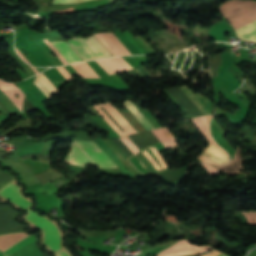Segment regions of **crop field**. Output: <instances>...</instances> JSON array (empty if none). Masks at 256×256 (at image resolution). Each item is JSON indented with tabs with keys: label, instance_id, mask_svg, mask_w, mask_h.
<instances>
[{
	"label": "crop field",
	"instance_id": "crop-field-19",
	"mask_svg": "<svg viewBox=\"0 0 256 256\" xmlns=\"http://www.w3.org/2000/svg\"><path fill=\"white\" fill-rule=\"evenodd\" d=\"M119 139L131 150L133 154L137 152V148L134 146V144L129 140L127 136L120 137Z\"/></svg>",
	"mask_w": 256,
	"mask_h": 256
},
{
	"label": "crop field",
	"instance_id": "crop-field-13",
	"mask_svg": "<svg viewBox=\"0 0 256 256\" xmlns=\"http://www.w3.org/2000/svg\"><path fill=\"white\" fill-rule=\"evenodd\" d=\"M124 104L147 130L154 129L152 124L145 119V117L141 114V112L134 106V104L130 100L124 102Z\"/></svg>",
	"mask_w": 256,
	"mask_h": 256
},
{
	"label": "crop field",
	"instance_id": "crop-field-20",
	"mask_svg": "<svg viewBox=\"0 0 256 256\" xmlns=\"http://www.w3.org/2000/svg\"><path fill=\"white\" fill-rule=\"evenodd\" d=\"M32 156H37V157H38V161L49 162L48 155H47V156H44V155H42V154L25 155V156H23V157H20V159H21V160H24V159L31 158Z\"/></svg>",
	"mask_w": 256,
	"mask_h": 256
},
{
	"label": "crop field",
	"instance_id": "crop-field-9",
	"mask_svg": "<svg viewBox=\"0 0 256 256\" xmlns=\"http://www.w3.org/2000/svg\"><path fill=\"white\" fill-rule=\"evenodd\" d=\"M210 118H211V116H208V117L192 119L190 121L195 125V127L204 135V137L208 141H210L212 144H214L218 149H220L224 154H226L228 156V154L213 141V139L209 133Z\"/></svg>",
	"mask_w": 256,
	"mask_h": 256
},
{
	"label": "crop field",
	"instance_id": "crop-field-32",
	"mask_svg": "<svg viewBox=\"0 0 256 256\" xmlns=\"http://www.w3.org/2000/svg\"><path fill=\"white\" fill-rule=\"evenodd\" d=\"M218 256H227V255L221 254V255H218Z\"/></svg>",
	"mask_w": 256,
	"mask_h": 256
},
{
	"label": "crop field",
	"instance_id": "crop-field-28",
	"mask_svg": "<svg viewBox=\"0 0 256 256\" xmlns=\"http://www.w3.org/2000/svg\"><path fill=\"white\" fill-rule=\"evenodd\" d=\"M16 50H17V53L21 56V58L25 61V62H27V63H29L28 62V60L21 54V52L16 48ZM30 64V63H29Z\"/></svg>",
	"mask_w": 256,
	"mask_h": 256
},
{
	"label": "crop field",
	"instance_id": "crop-field-8",
	"mask_svg": "<svg viewBox=\"0 0 256 256\" xmlns=\"http://www.w3.org/2000/svg\"><path fill=\"white\" fill-rule=\"evenodd\" d=\"M0 89L2 90V93L6 95L15 104V106L21 111L24 95L20 91V89L17 88L14 83H6L1 79H0ZM13 94L19 95V98L16 99L13 96Z\"/></svg>",
	"mask_w": 256,
	"mask_h": 256
},
{
	"label": "crop field",
	"instance_id": "crop-field-27",
	"mask_svg": "<svg viewBox=\"0 0 256 256\" xmlns=\"http://www.w3.org/2000/svg\"><path fill=\"white\" fill-rule=\"evenodd\" d=\"M60 252L62 253L63 256H72L71 253L69 252V250L64 249Z\"/></svg>",
	"mask_w": 256,
	"mask_h": 256
},
{
	"label": "crop field",
	"instance_id": "crop-field-6",
	"mask_svg": "<svg viewBox=\"0 0 256 256\" xmlns=\"http://www.w3.org/2000/svg\"><path fill=\"white\" fill-rule=\"evenodd\" d=\"M179 87L192 100V102L200 109V111L204 115L213 113L212 102L209 101L206 97L197 93L194 94L187 85H181Z\"/></svg>",
	"mask_w": 256,
	"mask_h": 256
},
{
	"label": "crop field",
	"instance_id": "crop-field-2",
	"mask_svg": "<svg viewBox=\"0 0 256 256\" xmlns=\"http://www.w3.org/2000/svg\"><path fill=\"white\" fill-rule=\"evenodd\" d=\"M0 193L9 197L30 212L25 217L43 229L44 241L49 249L56 251L61 248L60 234L54 223L50 222L45 217H41L38 214L30 211L29 208L32 203L22 197L20 194V188L10 183L3 190H1Z\"/></svg>",
	"mask_w": 256,
	"mask_h": 256
},
{
	"label": "crop field",
	"instance_id": "crop-field-10",
	"mask_svg": "<svg viewBox=\"0 0 256 256\" xmlns=\"http://www.w3.org/2000/svg\"><path fill=\"white\" fill-rule=\"evenodd\" d=\"M68 63L81 61L79 55L65 42H51Z\"/></svg>",
	"mask_w": 256,
	"mask_h": 256
},
{
	"label": "crop field",
	"instance_id": "crop-field-15",
	"mask_svg": "<svg viewBox=\"0 0 256 256\" xmlns=\"http://www.w3.org/2000/svg\"><path fill=\"white\" fill-rule=\"evenodd\" d=\"M36 236H37V234H32V235L26 236L21 241H19L15 245L11 246L10 248H8L3 253L5 254V256H8L9 254H11V253L21 249L22 247L26 246L27 244L35 241L36 240Z\"/></svg>",
	"mask_w": 256,
	"mask_h": 256
},
{
	"label": "crop field",
	"instance_id": "crop-field-1",
	"mask_svg": "<svg viewBox=\"0 0 256 256\" xmlns=\"http://www.w3.org/2000/svg\"><path fill=\"white\" fill-rule=\"evenodd\" d=\"M219 10L229 20L239 38L256 36V1L229 0ZM244 40L256 42V37Z\"/></svg>",
	"mask_w": 256,
	"mask_h": 256
},
{
	"label": "crop field",
	"instance_id": "crop-field-29",
	"mask_svg": "<svg viewBox=\"0 0 256 256\" xmlns=\"http://www.w3.org/2000/svg\"><path fill=\"white\" fill-rule=\"evenodd\" d=\"M54 255H55V256H62V255L60 254V252L55 253Z\"/></svg>",
	"mask_w": 256,
	"mask_h": 256
},
{
	"label": "crop field",
	"instance_id": "crop-field-22",
	"mask_svg": "<svg viewBox=\"0 0 256 256\" xmlns=\"http://www.w3.org/2000/svg\"><path fill=\"white\" fill-rule=\"evenodd\" d=\"M50 48L53 52L56 53L57 57L60 59V61L65 65L67 64V62L65 61V59L60 55V53L49 43V41L47 39L43 40Z\"/></svg>",
	"mask_w": 256,
	"mask_h": 256
},
{
	"label": "crop field",
	"instance_id": "crop-field-3",
	"mask_svg": "<svg viewBox=\"0 0 256 256\" xmlns=\"http://www.w3.org/2000/svg\"><path fill=\"white\" fill-rule=\"evenodd\" d=\"M77 142L97 167H117L94 141ZM77 142H72L65 162L80 167L93 164Z\"/></svg>",
	"mask_w": 256,
	"mask_h": 256
},
{
	"label": "crop field",
	"instance_id": "crop-field-21",
	"mask_svg": "<svg viewBox=\"0 0 256 256\" xmlns=\"http://www.w3.org/2000/svg\"><path fill=\"white\" fill-rule=\"evenodd\" d=\"M135 156H136V158L138 159L139 162L141 161L144 164L145 167L151 166V163L148 161V159L141 152H138Z\"/></svg>",
	"mask_w": 256,
	"mask_h": 256
},
{
	"label": "crop field",
	"instance_id": "crop-field-5",
	"mask_svg": "<svg viewBox=\"0 0 256 256\" xmlns=\"http://www.w3.org/2000/svg\"><path fill=\"white\" fill-rule=\"evenodd\" d=\"M95 35L113 55L131 54L112 33H99Z\"/></svg>",
	"mask_w": 256,
	"mask_h": 256
},
{
	"label": "crop field",
	"instance_id": "crop-field-14",
	"mask_svg": "<svg viewBox=\"0 0 256 256\" xmlns=\"http://www.w3.org/2000/svg\"><path fill=\"white\" fill-rule=\"evenodd\" d=\"M72 66L81 77H99L86 62L74 63Z\"/></svg>",
	"mask_w": 256,
	"mask_h": 256
},
{
	"label": "crop field",
	"instance_id": "crop-field-17",
	"mask_svg": "<svg viewBox=\"0 0 256 256\" xmlns=\"http://www.w3.org/2000/svg\"><path fill=\"white\" fill-rule=\"evenodd\" d=\"M121 113L138 132L145 131L144 127L130 114L127 109L121 111Z\"/></svg>",
	"mask_w": 256,
	"mask_h": 256
},
{
	"label": "crop field",
	"instance_id": "crop-field-7",
	"mask_svg": "<svg viewBox=\"0 0 256 256\" xmlns=\"http://www.w3.org/2000/svg\"><path fill=\"white\" fill-rule=\"evenodd\" d=\"M97 62L108 73H115L132 69L121 57H111L106 59L97 60Z\"/></svg>",
	"mask_w": 256,
	"mask_h": 256
},
{
	"label": "crop field",
	"instance_id": "crop-field-33",
	"mask_svg": "<svg viewBox=\"0 0 256 256\" xmlns=\"http://www.w3.org/2000/svg\"><path fill=\"white\" fill-rule=\"evenodd\" d=\"M0 160H1V151H0Z\"/></svg>",
	"mask_w": 256,
	"mask_h": 256
},
{
	"label": "crop field",
	"instance_id": "crop-field-23",
	"mask_svg": "<svg viewBox=\"0 0 256 256\" xmlns=\"http://www.w3.org/2000/svg\"><path fill=\"white\" fill-rule=\"evenodd\" d=\"M136 38L151 54H157V52L154 51L140 36H137Z\"/></svg>",
	"mask_w": 256,
	"mask_h": 256
},
{
	"label": "crop field",
	"instance_id": "crop-field-31",
	"mask_svg": "<svg viewBox=\"0 0 256 256\" xmlns=\"http://www.w3.org/2000/svg\"><path fill=\"white\" fill-rule=\"evenodd\" d=\"M0 256H4L2 252H0Z\"/></svg>",
	"mask_w": 256,
	"mask_h": 256
},
{
	"label": "crop field",
	"instance_id": "crop-field-30",
	"mask_svg": "<svg viewBox=\"0 0 256 256\" xmlns=\"http://www.w3.org/2000/svg\"><path fill=\"white\" fill-rule=\"evenodd\" d=\"M29 67L32 68L35 71V73H37V71L34 67H32V66H29Z\"/></svg>",
	"mask_w": 256,
	"mask_h": 256
},
{
	"label": "crop field",
	"instance_id": "crop-field-25",
	"mask_svg": "<svg viewBox=\"0 0 256 256\" xmlns=\"http://www.w3.org/2000/svg\"><path fill=\"white\" fill-rule=\"evenodd\" d=\"M202 165L209 171V173L211 175H213V174H215V173L220 171V170H218V169H216V168H214V167H212V166H210L208 164H202Z\"/></svg>",
	"mask_w": 256,
	"mask_h": 256
},
{
	"label": "crop field",
	"instance_id": "crop-field-12",
	"mask_svg": "<svg viewBox=\"0 0 256 256\" xmlns=\"http://www.w3.org/2000/svg\"><path fill=\"white\" fill-rule=\"evenodd\" d=\"M34 83L44 92L48 98H50L52 94H56L58 92L52 83L49 82L42 73L37 74V78Z\"/></svg>",
	"mask_w": 256,
	"mask_h": 256
},
{
	"label": "crop field",
	"instance_id": "crop-field-11",
	"mask_svg": "<svg viewBox=\"0 0 256 256\" xmlns=\"http://www.w3.org/2000/svg\"><path fill=\"white\" fill-rule=\"evenodd\" d=\"M202 154H204L205 156L212 159L218 164H227L228 162V157L225 156L222 152H220L210 143L205 147Z\"/></svg>",
	"mask_w": 256,
	"mask_h": 256
},
{
	"label": "crop field",
	"instance_id": "crop-field-26",
	"mask_svg": "<svg viewBox=\"0 0 256 256\" xmlns=\"http://www.w3.org/2000/svg\"><path fill=\"white\" fill-rule=\"evenodd\" d=\"M200 160H202L203 162H206V163H214L213 161H211L210 159L206 158L205 156H201L199 158ZM216 164V163H215Z\"/></svg>",
	"mask_w": 256,
	"mask_h": 256
},
{
	"label": "crop field",
	"instance_id": "crop-field-24",
	"mask_svg": "<svg viewBox=\"0 0 256 256\" xmlns=\"http://www.w3.org/2000/svg\"><path fill=\"white\" fill-rule=\"evenodd\" d=\"M83 1H89V0H53L52 3H77V2H83Z\"/></svg>",
	"mask_w": 256,
	"mask_h": 256
},
{
	"label": "crop field",
	"instance_id": "crop-field-4",
	"mask_svg": "<svg viewBox=\"0 0 256 256\" xmlns=\"http://www.w3.org/2000/svg\"><path fill=\"white\" fill-rule=\"evenodd\" d=\"M71 47L81 56L83 60L110 57V53L99 43L94 35L84 39L68 40Z\"/></svg>",
	"mask_w": 256,
	"mask_h": 256
},
{
	"label": "crop field",
	"instance_id": "crop-field-16",
	"mask_svg": "<svg viewBox=\"0 0 256 256\" xmlns=\"http://www.w3.org/2000/svg\"><path fill=\"white\" fill-rule=\"evenodd\" d=\"M62 174H59L51 169H48L44 172H41L39 174H37V177L39 178L40 182L42 183V185L50 182L51 180L61 176ZM36 176V175H35ZM37 178V179H38Z\"/></svg>",
	"mask_w": 256,
	"mask_h": 256
},
{
	"label": "crop field",
	"instance_id": "crop-field-18",
	"mask_svg": "<svg viewBox=\"0 0 256 256\" xmlns=\"http://www.w3.org/2000/svg\"><path fill=\"white\" fill-rule=\"evenodd\" d=\"M14 177L7 174L6 172L0 171V189L6 185L10 180H12Z\"/></svg>",
	"mask_w": 256,
	"mask_h": 256
}]
</instances>
